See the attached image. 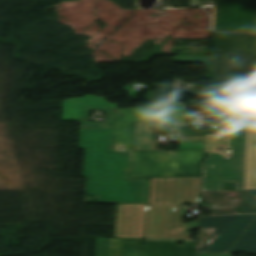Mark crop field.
Listing matches in <instances>:
<instances>
[{
	"instance_id": "1",
	"label": "crop field",
	"mask_w": 256,
	"mask_h": 256,
	"mask_svg": "<svg viewBox=\"0 0 256 256\" xmlns=\"http://www.w3.org/2000/svg\"><path fill=\"white\" fill-rule=\"evenodd\" d=\"M105 100L84 95L64 100L62 105L61 120H81L79 148H85V194L95 196L97 203L147 204L149 179L130 178L201 176L203 150L177 152V162H157L158 151H133L136 122L171 120L174 126L186 124L182 104L148 103L144 108L120 109ZM112 108L119 112L112 113ZM90 109L105 110L104 122H110H83ZM113 140L124 147H113Z\"/></svg>"
},
{
	"instance_id": "2",
	"label": "crop field",
	"mask_w": 256,
	"mask_h": 256,
	"mask_svg": "<svg viewBox=\"0 0 256 256\" xmlns=\"http://www.w3.org/2000/svg\"><path fill=\"white\" fill-rule=\"evenodd\" d=\"M246 140L247 126H223L215 135L206 136L204 152H211V158L203 164V187L221 190V182H236L237 190H245ZM219 144L231 147L230 159L216 153Z\"/></svg>"
},
{
	"instance_id": "3",
	"label": "crop field",
	"mask_w": 256,
	"mask_h": 256,
	"mask_svg": "<svg viewBox=\"0 0 256 256\" xmlns=\"http://www.w3.org/2000/svg\"><path fill=\"white\" fill-rule=\"evenodd\" d=\"M186 208L174 206H149L145 240H179L178 232L171 228H180V220ZM146 205H118L115 237L143 238Z\"/></svg>"
},
{
	"instance_id": "4",
	"label": "crop field",
	"mask_w": 256,
	"mask_h": 256,
	"mask_svg": "<svg viewBox=\"0 0 256 256\" xmlns=\"http://www.w3.org/2000/svg\"><path fill=\"white\" fill-rule=\"evenodd\" d=\"M143 239L97 238L96 256H141ZM196 243L145 241L143 256H195Z\"/></svg>"
},
{
	"instance_id": "5",
	"label": "crop field",
	"mask_w": 256,
	"mask_h": 256,
	"mask_svg": "<svg viewBox=\"0 0 256 256\" xmlns=\"http://www.w3.org/2000/svg\"><path fill=\"white\" fill-rule=\"evenodd\" d=\"M256 219V215H235L200 218L199 227H217L198 253H227L237 239ZM239 240V239H238Z\"/></svg>"
},
{
	"instance_id": "6",
	"label": "crop field",
	"mask_w": 256,
	"mask_h": 256,
	"mask_svg": "<svg viewBox=\"0 0 256 256\" xmlns=\"http://www.w3.org/2000/svg\"><path fill=\"white\" fill-rule=\"evenodd\" d=\"M190 179V187L186 186ZM201 188V177L157 178L151 179L149 204L182 205V202L199 203L198 194Z\"/></svg>"
},
{
	"instance_id": "7",
	"label": "crop field",
	"mask_w": 256,
	"mask_h": 256,
	"mask_svg": "<svg viewBox=\"0 0 256 256\" xmlns=\"http://www.w3.org/2000/svg\"><path fill=\"white\" fill-rule=\"evenodd\" d=\"M256 0H217L214 31L253 32Z\"/></svg>"
},
{
	"instance_id": "8",
	"label": "crop field",
	"mask_w": 256,
	"mask_h": 256,
	"mask_svg": "<svg viewBox=\"0 0 256 256\" xmlns=\"http://www.w3.org/2000/svg\"><path fill=\"white\" fill-rule=\"evenodd\" d=\"M255 57L213 56L211 76L217 80L253 79Z\"/></svg>"
},
{
	"instance_id": "9",
	"label": "crop field",
	"mask_w": 256,
	"mask_h": 256,
	"mask_svg": "<svg viewBox=\"0 0 256 256\" xmlns=\"http://www.w3.org/2000/svg\"><path fill=\"white\" fill-rule=\"evenodd\" d=\"M256 81H238V102L255 100ZM209 103H235V81H213Z\"/></svg>"
},
{
	"instance_id": "10",
	"label": "crop field",
	"mask_w": 256,
	"mask_h": 256,
	"mask_svg": "<svg viewBox=\"0 0 256 256\" xmlns=\"http://www.w3.org/2000/svg\"><path fill=\"white\" fill-rule=\"evenodd\" d=\"M256 34L216 33L214 55L255 56Z\"/></svg>"
},
{
	"instance_id": "11",
	"label": "crop field",
	"mask_w": 256,
	"mask_h": 256,
	"mask_svg": "<svg viewBox=\"0 0 256 256\" xmlns=\"http://www.w3.org/2000/svg\"><path fill=\"white\" fill-rule=\"evenodd\" d=\"M182 81L181 79L174 78L172 84L158 83L151 101L176 102L182 100L186 93L208 98V91L198 89L194 84Z\"/></svg>"
},
{
	"instance_id": "12",
	"label": "crop field",
	"mask_w": 256,
	"mask_h": 256,
	"mask_svg": "<svg viewBox=\"0 0 256 256\" xmlns=\"http://www.w3.org/2000/svg\"><path fill=\"white\" fill-rule=\"evenodd\" d=\"M233 195L241 199L234 206H228L225 204L227 199L224 196ZM201 199H210V201H202L200 203H216L218 208H215V212L211 215L216 214H231L239 213L244 205L249 201V191H201Z\"/></svg>"
},
{
	"instance_id": "13",
	"label": "crop field",
	"mask_w": 256,
	"mask_h": 256,
	"mask_svg": "<svg viewBox=\"0 0 256 256\" xmlns=\"http://www.w3.org/2000/svg\"><path fill=\"white\" fill-rule=\"evenodd\" d=\"M221 119L228 124L251 123L252 104H214Z\"/></svg>"
},
{
	"instance_id": "14",
	"label": "crop field",
	"mask_w": 256,
	"mask_h": 256,
	"mask_svg": "<svg viewBox=\"0 0 256 256\" xmlns=\"http://www.w3.org/2000/svg\"><path fill=\"white\" fill-rule=\"evenodd\" d=\"M246 189H256V126H248Z\"/></svg>"
},
{
	"instance_id": "15",
	"label": "crop field",
	"mask_w": 256,
	"mask_h": 256,
	"mask_svg": "<svg viewBox=\"0 0 256 256\" xmlns=\"http://www.w3.org/2000/svg\"><path fill=\"white\" fill-rule=\"evenodd\" d=\"M241 250L249 254H256V222L244 234L230 253H239Z\"/></svg>"
},
{
	"instance_id": "16",
	"label": "crop field",
	"mask_w": 256,
	"mask_h": 256,
	"mask_svg": "<svg viewBox=\"0 0 256 256\" xmlns=\"http://www.w3.org/2000/svg\"><path fill=\"white\" fill-rule=\"evenodd\" d=\"M174 62H199L206 63L208 66L207 77H210L211 56H177L173 59Z\"/></svg>"
},
{
	"instance_id": "17",
	"label": "crop field",
	"mask_w": 256,
	"mask_h": 256,
	"mask_svg": "<svg viewBox=\"0 0 256 256\" xmlns=\"http://www.w3.org/2000/svg\"><path fill=\"white\" fill-rule=\"evenodd\" d=\"M192 2L194 5H202L204 7L213 8L211 18V30L213 31L216 0H192ZM135 9H140L139 0H135Z\"/></svg>"
},
{
	"instance_id": "18",
	"label": "crop field",
	"mask_w": 256,
	"mask_h": 256,
	"mask_svg": "<svg viewBox=\"0 0 256 256\" xmlns=\"http://www.w3.org/2000/svg\"><path fill=\"white\" fill-rule=\"evenodd\" d=\"M241 213H256V191H251V200Z\"/></svg>"
},
{
	"instance_id": "19",
	"label": "crop field",
	"mask_w": 256,
	"mask_h": 256,
	"mask_svg": "<svg viewBox=\"0 0 256 256\" xmlns=\"http://www.w3.org/2000/svg\"><path fill=\"white\" fill-rule=\"evenodd\" d=\"M158 161H176V152H160Z\"/></svg>"
},
{
	"instance_id": "20",
	"label": "crop field",
	"mask_w": 256,
	"mask_h": 256,
	"mask_svg": "<svg viewBox=\"0 0 256 256\" xmlns=\"http://www.w3.org/2000/svg\"><path fill=\"white\" fill-rule=\"evenodd\" d=\"M181 228H185L184 239H186L188 241H191V240H189V233H188V231L198 228V222L193 221V222H191L189 224H181ZM191 242H193V241H191Z\"/></svg>"
},
{
	"instance_id": "21",
	"label": "crop field",
	"mask_w": 256,
	"mask_h": 256,
	"mask_svg": "<svg viewBox=\"0 0 256 256\" xmlns=\"http://www.w3.org/2000/svg\"><path fill=\"white\" fill-rule=\"evenodd\" d=\"M198 256H232V254H227V255H216V254H200Z\"/></svg>"
},
{
	"instance_id": "22",
	"label": "crop field",
	"mask_w": 256,
	"mask_h": 256,
	"mask_svg": "<svg viewBox=\"0 0 256 256\" xmlns=\"http://www.w3.org/2000/svg\"><path fill=\"white\" fill-rule=\"evenodd\" d=\"M171 231H178V232H180V239H183L184 229H172Z\"/></svg>"
},
{
	"instance_id": "23",
	"label": "crop field",
	"mask_w": 256,
	"mask_h": 256,
	"mask_svg": "<svg viewBox=\"0 0 256 256\" xmlns=\"http://www.w3.org/2000/svg\"><path fill=\"white\" fill-rule=\"evenodd\" d=\"M253 123H256V104H255V107H254Z\"/></svg>"
},
{
	"instance_id": "24",
	"label": "crop field",
	"mask_w": 256,
	"mask_h": 256,
	"mask_svg": "<svg viewBox=\"0 0 256 256\" xmlns=\"http://www.w3.org/2000/svg\"><path fill=\"white\" fill-rule=\"evenodd\" d=\"M114 146H122V144L114 142Z\"/></svg>"
},
{
	"instance_id": "25",
	"label": "crop field",
	"mask_w": 256,
	"mask_h": 256,
	"mask_svg": "<svg viewBox=\"0 0 256 256\" xmlns=\"http://www.w3.org/2000/svg\"><path fill=\"white\" fill-rule=\"evenodd\" d=\"M255 32H256V26H255Z\"/></svg>"
},
{
	"instance_id": "26",
	"label": "crop field",
	"mask_w": 256,
	"mask_h": 256,
	"mask_svg": "<svg viewBox=\"0 0 256 256\" xmlns=\"http://www.w3.org/2000/svg\"><path fill=\"white\" fill-rule=\"evenodd\" d=\"M5 256H10V255H5Z\"/></svg>"
}]
</instances>
